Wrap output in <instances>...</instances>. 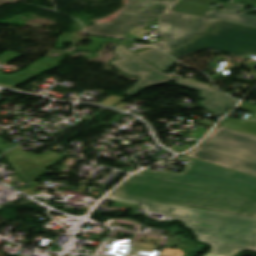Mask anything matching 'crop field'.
<instances>
[{"mask_svg": "<svg viewBox=\"0 0 256 256\" xmlns=\"http://www.w3.org/2000/svg\"><path fill=\"white\" fill-rule=\"evenodd\" d=\"M182 173L147 169L126 180L112 194L256 217V177L180 156Z\"/></svg>", "mask_w": 256, "mask_h": 256, "instance_id": "8a807250", "label": "crop field"}, {"mask_svg": "<svg viewBox=\"0 0 256 256\" xmlns=\"http://www.w3.org/2000/svg\"><path fill=\"white\" fill-rule=\"evenodd\" d=\"M108 198L141 203L148 211L183 221L197 235V240L212 246L209 252L229 255L243 249L256 252L255 218L114 195Z\"/></svg>", "mask_w": 256, "mask_h": 256, "instance_id": "ac0d7876", "label": "crop field"}, {"mask_svg": "<svg viewBox=\"0 0 256 256\" xmlns=\"http://www.w3.org/2000/svg\"><path fill=\"white\" fill-rule=\"evenodd\" d=\"M114 51L121 57L120 60H113L112 65L121 69L122 71L139 76L140 80L127 92L123 94L135 95L145 87L169 82L178 81L177 85L189 87L201 91L199 97L204 99L199 102L202 108L210 113L217 115H224L228 110L233 108L238 101L229 97L228 95L218 91L217 89L210 88L201 84L192 83L182 79H174L168 74L160 71L147 61L143 60L136 54L129 51L127 48L117 42Z\"/></svg>", "mask_w": 256, "mask_h": 256, "instance_id": "34b2d1b8", "label": "crop field"}, {"mask_svg": "<svg viewBox=\"0 0 256 256\" xmlns=\"http://www.w3.org/2000/svg\"><path fill=\"white\" fill-rule=\"evenodd\" d=\"M186 156L256 176V137L225 127L212 131Z\"/></svg>", "mask_w": 256, "mask_h": 256, "instance_id": "412701ff", "label": "crop field"}, {"mask_svg": "<svg viewBox=\"0 0 256 256\" xmlns=\"http://www.w3.org/2000/svg\"><path fill=\"white\" fill-rule=\"evenodd\" d=\"M207 49L240 57L256 54V27L215 19L187 45L169 54L178 59Z\"/></svg>", "mask_w": 256, "mask_h": 256, "instance_id": "f4fd0767", "label": "crop field"}, {"mask_svg": "<svg viewBox=\"0 0 256 256\" xmlns=\"http://www.w3.org/2000/svg\"><path fill=\"white\" fill-rule=\"evenodd\" d=\"M178 0H129L126 7L113 23H96L88 34H98L124 38L131 27L144 28L151 18L159 16L166 8Z\"/></svg>", "mask_w": 256, "mask_h": 256, "instance_id": "dd49c442", "label": "crop field"}, {"mask_svg": "<svg viewBox=\"0 0 256 256\" xmlns=\"http://www.w3.org/2000/svg\"><path fill=\"white\" fill-rule=\"evenodd\" d=\"M158 21L161 38L154 44L169 53L187 44L213 20L167 10Z\"/></svg>", "mask_w": 256, "mask_h": 256, "instance_id": "e52e79f7", "label": "crop field"}, {"mask_svg": "<svg viewBox=\"0 0 256 256\" xmlns=\"http://www.w3.org/2000/svg\"><path fill=\"white\" fill-rule=\"evenodd\" d=\"M21 146L6 153V157L23 180L38 179L50 166L63 155L53 152H45L41 156L23 152Z\"/></svg>", "mask_w": 256, "mask_h": 256, "instance_id": "d8731c3e", "label": "crop field"}, {"mask_svg": "<svg viewBox=\"0 0 256 256\" xmlns=\"http://www.w3.org/2000/svg\"><path fill=\"white\" fill-rule=\"evenodd\" d=\"M138 55L162 71L170 70V68L176 63V61H174L156 48Z\"/></svg>", "mask_w": 256, "mask_h": 256, "instance_id": "5a996713", "label": "crop field"}, {"mask_svg": "<svg viewBox=\"0 0 256 256\" xmlns=\"http://www.w3.org/2000/svg\"><path fill=\"white\" fill-rule=\"evenodd\" d=\"M204 16L256 26V18L239 15V14H235V13H230V12H225V11H221V10H216V9H213V10L205 13Z\"/></svg>", "mask_w": 256, "mask_h": 256, "instance_id": "3316defc", "label": "crop field"}, {"mask_svg": "<svg viewBox=\"0 0 256 256\" xmlns=\"http://www.w3.org/2000/svg\"><path fill=\"white\" fill-rule=\"evenodd\" d=\"M39 75V73L24 70L14 75H2L0 74V85L13 87L18 84L24 83L32 77Z\"/></svg>", "mask_w": 256, "mask_h": 256, "instance_id": "28ad6ade", "label": "crop field"}, {"mask_svg": "<svg viewBox=\"0 0 256 256\" xmlns=\"http://www.w3.org/2000/svg\"><path fill=\"white\" fill-rule=\"evenodd\" d=\"M66 55H63L58 58H49L45 57L41 60H38L32 64H30L26 69L43 73L47 70L58 67L59 64L65 59Z\"/></svg>", "mask_w": 256, "mask_h": 256, "instance_id": "d1516ede", "label": "crop field"}, {"mask_svg": "<svg viewBox=\"0 0 256 256\" xmlns=\"http://www.w3.org/2000/svg\"><path fill=\"white\" fill-rule=\"evenodd\" d=\"M220 124H224L256 134V122H250L245 120L239 121L231 118H225Z\"/></svg>", "mask_w": 256, "mask_h": 256, "instance_id": "22f410ed", "label": "crop field"}, {"mask_svg": "<svg viewBox=\"0 0 256 256\" xmlns=\"http://www.w3.org/2000/svg\"><path fill=\"white\" fill-rule=\"evenodd\" d=\"M173 9L188 12V13L198 14V15H201L203 12L209 10V8H205V7H201V6H197V5H193V4H189L181 1H179L173 7Z\"/></svg>", "mask_w": 256, "mask_h": 256, "instance_id": "cbeb9de0", "label": "crop field"}, {"mask_svg": "<svg viewBox=\"0 0 256 256\" xmlns=\"http://www.w3.org/2000/svg\"><path fill=\"white\" fill-rule=\"evenodd\" d=\"M89 38L92 41V44L88 47H78V50L84 51V52L94 53L96 50L101 48V45H102L103 42H107V41L116 42V41H118L116 39H108V38L93 37V36H90ZM71 46H73V45H71ZM73 47H76V46H73ZM72 53H74V52H72Z\"/></svg>", "mask_w": 256, "mask_h": 256, "instance_id": "5142ce71", "label": "crop field"}, {"mask_svg": "<svg viewBox=\"0 0 256 256\" xmlns=\"http://www.w3.org/2000/svg\"><path fill=\"white\" fill-rule=\"evenodd\" d=\"M237 110L252 113L247 119L256 120V106L242 103Z\"/></svg>", "mask_w": 256, "mask_h": 256, "instance_id": "d9b57169", "label": "crop field"}, {"mask_svg": "<svg viewBox=\"0 0 256 256\" xmlns=\"http://www.w3.org/2000/svg\"><path fill=\"white\" fill-rule=\"evenodd\" d=\"M66 42L71 43L70 33L64 32L63 35L58 38V41L54 48L64 49Z\"/></svg>", "mask_w": 256, "mask_h": 256, "instance_id": "733c2abd", "label": "crop field"}, {"mask_svg": "<svg viewBox=\"0 0 256 256\" xmlns=\"http://www.w3.org/2000/svg\"><path fill=\"white\" fill-rule=\"evenodd\" d=\"M18 55L19 54H15V53L6 51V52L0 54V62L6 63Z\"/></svg>", "mask_w": 256, "mask_h": 256, "instance_id": "4a817a6b", "label": "crop field"}, {"mask_svg": "<svg viewBox=\"0 0 256 256\" xmlns=\"http://www.w3.org/2000/svg\"><path fill=\"white\" fill-rule=\"evenodd\" d=\"M243 7H244L243 5L231 3V4H230L227 8H225L224 10L239 13L240 10H241Z\"/></svg>", "mask_w": 256, "mask_h": 256, "instance_id": "bc2a9ffb", "label": "crop field"}, {"mask_svg": "<svg viewBox=\"0 0 256 256\" xmlns=\"http://www.w3.org/2000/svg\"><path fill=\"white\" fill-rule=\"evenodd\" d=\"M182 1H186V2H191V3H196V4L208 6L212 2H214L215 0H182Z\"/></svg>", "mask_w": 256, "mask_h": 256, "instance_id": "214f88e0", "label": "crop field"}, {"mask_svg": "<svg viewBox=\"0 0 256 256\" xmlns=\"http://www.w3.org/2000/svg\"><path fill=\"white\" fill-rule=\"evenodd\" d=\"M124 98H120V97H117V96H111L107 99H105L104 101H102L104 104H109V105H112L120 100H123Z\"/></svg>", "mask_w": 256, "mask_h": 256, "instance_id": "92a150f3", "label": "crop field"}, {"mask_svg": "<svg viewBox=\"0 0 256 256\" xmlns=\"http://www.w3.org/2000/svg\"><path fill=\"white\" fill-rule=\"evenodd\" d=\"M206 256H228V255H220V254L207 253Z\"/></svg>", "mask_w": 256, "mask_h": 256, "instance_id": "dafd665d", "label": "crop field"}, {"mask_svg": "<svg viewBox=\"0 0 256 256\" xmlns=\"http://www.w3.org/2000/svg\"><path fill=\"white\" fill-rule=\"evenodd\" d=\"M219 125H220V124H218V125L216 126V128H217ZM221 126H224V125H221ZM225 127H227V126H225ZM216 128H215V129H216ZM228 128H231V127H228ZM215 129H214V130H215ZM232 129H234V128H232ZM235 130H237V129H235ZM238 131H241V130H238ZM242 132H244V131H242ZM245 133H248V132H245ZM249 134H251V133H249ZM252 135H255V134H252Z\"/></svg>", "mask_w": 256, "mask_h": 256, "instance_id": "00972430", "label": "crop field"}]
</instances>
